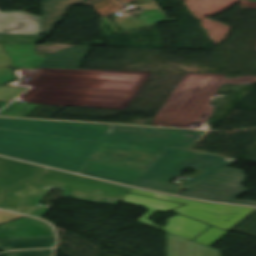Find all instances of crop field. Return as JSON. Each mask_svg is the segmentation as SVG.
Wrapping results in <instances>:
<instances>
[{"mask_svg":"<svg viewBox=\"0 0 256 256\" xmlns=\"http://www.w3.org/2000/svg\"><path fill=\"white\" fill-rule=\"evenodd\" d=\"M112 126L0 118V154L135 187L175 194L169 183L187 166L203 173L189 188L231 164L221 157L168 148L148 171L89 158Z\"/></svg>","mask_w":256,"mask_h":256,"instance_id":"obj_1","label":"crop field"},{"mask_svg":"<svg viewBox=\"0 0 256 256\" xmlns=\"http://www.w3.org/2000/svg\"><path fill=\"white\" fill-rule=\"evenodd\" d=\"M202 137L192 130L113 126L91 157L148 170L168 147L205 154L192 150Z\"/></svg>","mask_w":256,"mask_h":256,"instance_id":"obj_2","label":"crop field"},{"mask_svg":"<svg viewBox=\"0 0 256 256\" xmlns=\"http://www.w3.org/2000/svg\"><path fill=\"white\" fill-rule=\"evenodd\" d=\"M61 188V194L83 201L117 205L129 188L45 168L34 179L6 192L1 209L41 217L50 207L38 206L48 190ZM121 201V200H120Z\"/></svg>","mask_w":256,"mask_h":256,"instance_id":"obj_3","label":"crop field"},{"mask_svg":"<svg viewBox=\"0 0 256 256\" xmlns=\"http://www.w3.org/2000/svg\"><path fill=\"white\" fill-rule=\"evenodd\" d=\"M244 181V171L227 168L180 193V195L209 201L256 205V201L235 199L249 191L242 187Z\"/></svg>","mask_w":256,"mask_h":256,"instance_id":"obj_4","label":"crop field"},{"mask_svg":"<svg viewBox=\"0 0 256 256\" xmlns=\"http://www.w3.org/2000/svg\"><path fill=\"white\" fill-rule=\"evenodd\" d=\"M129 192L184 202L186 203V205L176 208L174 210L181 214L211 223L214 226L222 228L224 230L230 229L232 226H234L236 223H238L241 219H243L254 210L253 208L197 202L134 189H131Z\"/></svg>","mask_w":256,"mask_h":256,"instance_id":"obj_5","label":"crop field"},{"mask_svg":"<svg viewBox=\"0 0 256 256\" xmlns=\"http://www.w3.org/2000/svg\"><path fill=\"white\" fill-rule=\"evenodd\" d=\"M125 203L141 205L148 208L150 211L145 214L138 222L165 230L167 232L180 235L186 238H193L198 233L206 229L209 225L197 222L195 220L177 215L173 218L168 219L167 226L165 228L158 227L153 224V222L147 220L152 214H154L157 210L166 211L171 208L177 207L182 204L167 202L163 200L136 196L126 194L122 199Z\"/></svg>","mask_w":256,"mask_h":256,"instance_id":"obj_6","label":"crop field"},{"mask_svg":"<svg viewBox=\"0 0 256 256\" xmlns=\"http://www.w3.org/2000/svg\"><path fill=\"white\" fill-rule=\"evenodd\" d=\"M0 33L41 35L43 34L41 17L23 11H0Z\"/></svg>","mask_w":256,"mask_h":256,"instance_id":"obj_7","label":"crop field"},{"mask_svg":"<svg viewBox=\"0 0 256 256\" xmlns=\"http://www.w3.org/2000/svg\"><path fill=\"white\" fill-rule=\"evenodd\" d=\"M42 167L0 157V203L3 191L28 179L33 178Z\"/></svg>","mask_w":256,"mask_h":256,"instance_id":"obj_8","label":"crop field"},{"mask_svg":"<svg viewBox=\"0 0 256 256\" xmlns=\"http://www.w3.org/2000/svg\"><path fill=\"white\" fill-rule=\"evenodd\" d=\"M54 235L49 224L25 217L0 226V238L39 237Z\"/></svg>","mask_w":256,"mask_h":256,"instance_id":"obj_9","label":"crop field"},{"mask_svg":"<svg viewBox=\"0 0 256 256\" xmlns=\"http://www.w3.org/2000/svg\"><path fill=\"white\" fill-rule=\"evenodd\" d=\"M84 0H41L45 33L39 43L50 36L56 23L63 22V16L67 15L73 4H81Z\"/></svg>","mask_w":256,"mask_h":256,"instance_id":"obj_10","label":"crop field"},{"mask_svg":"<svg viewBox=\"0 0 256 256\" xmlns=\"http://www.w3.org/2000/svg\"><path fill=\"white\" fill-rule=\"evenodd\" d=\"M91 46H79L48 56L39 67L80 68Z\"/></svg>","mask_w":256,"mask_h":256,"instance_id":"obj_11","label":"crop field"},{"mask_svg":"<svg viewBox=\"0 0 256 256\" xmlns=\"http://www.w3.org/2000/svg\"><path fill=\"white\" fill-rule=\"evenodd\" d=\"M167 253H180V256H220L218 250L170 233L167 234Z\"/></svg>","mask_w":256,"mask_h":256,"instance_id":"obj_12","label":"crop field"},{"mask_svg":"<svg viewBox=\"0 0 256 256\" xmlns=\"http://www.w3.org/2000/svg\"><path fill=\"white\" fill-rule=\"evenodd\" d=\"M35 47L36 45L5 44L13 67L36 68L46 57H39L34 51Z\"/></svg>","mask_w":256,"mask_h":256,"instance_id":"obj_13","label":"crop field"},{"mask_svg":"<svg viewBox=\"0 0 256 256\" xmlns=\"http://www.w3.org/2000/svg\"><path fill=\"white\" fill-rule=\"evenodd\" d=\"M54 245L55 237L0 240V249L3 251L53 247Z\"/></svg>","mask_w":256,"mask_h":256,"instance_id":"obj_14","label":"crop field"},{"mask_svg":"<svg viewBox=\"0 0 256 256\" xmlns=\"http://www.w3.org/2000/svg\"><path fill=\"white\" fill-rule=\"evenodd\" d=\"M39 105L33 104H22V103H13L5 110L0 112L2 116H16V117H23L33 109H35Z\"/></svg>","mask_w":256,"mask_h":256,"instance_id":"obj_15","label":"crop field"},{"mask_svg":"<svg viewBox=\"0 0 256 256\" xmlns=\"http://www.w3.org/2000/svg\"><path fill=\"white\" fill-rule=\"evenodd\" d=\"M231 230H235V231H239V232H243V233H247V234L256 236V210L253 211L251 214H249L242 221H240L233 228H231Z\"/></svg>","mask_w":256,"mask_h":256,"instance_id":"obj_16","label":"crop field"},{"mask_svg":"<svg viewBox=\"0 0 256 256\" xmlns=\"http://www.w3.org/2000/svg\"><path fill=\"white\" fill-rule=\"evenodd\" d=\"M227 233V231L212 226L199 237H197L194 241L211 246Z\"/></svg>","mask_w":256,"mask_h":256,"instance_id":"obj_17","label":"crop field"},{"mask_svg":"<svg viewBox=\"0 0 256 256\" xmlns=\"http://www.w3.org/2000/svg\"><path fill=\"white\" fill-rule=\"evenodd\" d=\"M40 36H21V35H3L0 34V43H23L35 44Z\"/></svg>","mask_w":256,"mask_h":256,"instance_id":"obj_18","label":"crop field"},{"mask_svg":"<svg viewBox=\"0 0 256 256\" xmlns=\"http://www.w3.org/2000/svg\"><path fill=\"white\" fill-rule=\"evenodd\" d=\"M28 89L0 86V100L11 101Z\"/></svg>","mask_w":256,"mask_h":256,"instance_id":"obj_19","label":"crop field"},{"mask_svg":"<svg viewBox=\"0 0 256 256\" xmlns=\"http://www.w3.org/2000/svg\"><path fill=\"white\" fill-rule=\"evenodd\" d=\"M52 250H36L24 252H10L8 256H51Z\"/></svg>","mask_w":256,"mask_h":256,"instance_id":"obj_20","label":"crop field"},{"mask_svg":"<svg viewBox=\"0 0 256 256\" xmlns=\"http://www.w3.org/2000/svg\"><path fill=\"white\" fill-rule=\"evenodd\" d=\"M14 77L10 71V68H1L0 67V84L14 81Z\"/></svg>","mask_w":256,"mask_h":256,"instance_id":"obj_21","label":"crop field"},{"mask_svg":"<svg viewBox=\"0 0 256 256\" xmlns=\"http://www.w3.org/2000/svg\"><path fill=\"white\" fill-rule=\"evenodd\" d=\"M20 217H24V216H20V215H16V214H12V213H8V212H4V211H0V224L20 218Z\"/></svg>","mask_w":256,"mask_h":256,"instance_id":"obj_22","label":"crop field"},{"mask_svg":"<svg viewBox=\"0 0 256 256\" xmlns=\"http://www.w3.org/2000/svg\"><path fill=\"white\" fill-rule=\"evenodd\" d=\"M0 66L1 67H10V59L4 53L2 45L0 44Z\"/></svg>","mask_w":256,"mask_h":256,"instance_id":"obj_23","label":"crop field"},{"mask_svg":"<svg viewBox=\"0 0 256 256\" xmlns=\"http://www.w3.org/2000/svg\"><path fill=\"white\" fill-rule=\"evenodd\" d=\"M7 103H9V102L0 101V109H1L3 106H5Z\"/></svg>","mask_w":256,"mask_h":256,"instance_id":"obj_24","label":"crop field"},{"mask_svg":"<svg viewBox=\"0 0 256 256\" xmlns=\"http://www.w3.org/2000/svg\"><path fill=\"white\" fill-rule=\"evenodd\" d=\"M168 256H179V254H168Z\"/></svg>","mask_w":256,"mask_h":256,"instance_id":"obj_25","label":"crop field"},{"mask_svg":"<svg viewBox=\"0 0 256 256\" xmlns=\"http://www.w3.org/2000/svg\"><path fill=\"white\" fill-rule=\"evenodd\" d=\"M249 1H256V0H249Z\"/></svg>","mask_w":256,"mask_h":256,"instance_id":"obj_26","label":"crop field"}]
</instances>
